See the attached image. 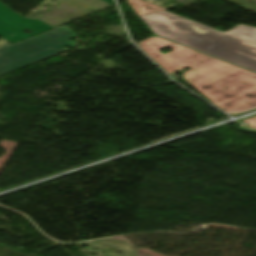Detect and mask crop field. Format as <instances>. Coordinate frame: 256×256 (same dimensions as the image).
I'll list each match as a JSON object with an SVG mask.
<instances>
[{
    "label": "crop field",
    "mask_w": 256,
    "mask_h": 256,
    "mask_svg": "<svg viewBox=\"0 0 256 256\" xmlns=\"http://www.w3.org/2000/svg\"><path fill=\"white\" fill-rule=\"evenodd\" d=\"M126 2L130 5V7L136 12L138 16L166 10L165 8L156 6L144 0H127Z\"/></svg>",
    "instance_id": "f4fd0767"
},
{
    "label": "crop field",
    "mask_w": 256,
    "mask_h": 256,
    "mask_svg": "<svg viewBox=\"0 0 256 256\" xmlns=\"http://www.w3.org/2000/svg\"><path fill=\"white\" fill-rule=\"evenodd\" d=\"M8 8L0 3V36L11 43L52 29L38 19L32 20L24 18ZM25 28H28L33 33L24 34L23 30ZM11 33H13L15 37H11Z\"/></svg>",
    "instance_id": "412701ff"
},
{
    "label": "crop field",
    "mask_w": 256,
    "mask_h": 256,
    "mask_svg": "<svg viewBox=\"0 0 256 256\" xmlns=\"http://www.w3.org/2000/svg\"><path fill=\"white\" fill-rule=\"evenodd\" d=\"M239 130H243V131H248V132L256 133V130L247 129V128H243V127H240Z\"/></svg>",
    "instance_id": "e52e79f7"
},
{
    "label": "crop field",
    "mask_w": 256,
    "mask_h": 256,
    "mask_svg": "<svg viewBox=\"0 0 256 256\" xmlns=\"http://www.w3.org/2000/svg\"><path fill=\"white\" fill-rule=\"evenodd\" d=\"M102 1L106 2L107 4H109L111 6L114 5L112 0H102Z\"/></svg>",
    "instance_id": "d8731c3e"
},
{
    "label": "crop field",
    "mask_w": 256,
    "mask_h": 256,
    "mask_svg": "<svg viewBox=\"0 0 256 256\" xmlns=\"http://www.w3.org/2000/svg\"><path fill=\"white\" fill-rule=\"evenodd\" d=\"M140 18L158 36L256 71V28L239 25L216 33L166 11Z\"/></svg>",
    "instance_id": "ac0d7876"
},
{
    "label": "crop field",
    "mask_w": 256,
    "mask_h": 256,
    "mask_svg": "<svg viewBox=\"0 0 256 256\" xmlns=\"http://www.w3.org/2000/svg\"><path fill=\"white\" fill-rule=\"evenodd\" d=\"M242 122L248 123V127L256 128V116L250 117Z\"/></svg>",
    "instance_id": "dd49c442"
},
{
    "label": "crop field",
    "mask_w": 256,
    "mask_h": 256,
    "mask_svg": "<svg viewBox=\"0 0 256 256\" xmlns=\"http://www.w3.org/2000/svg\"><path fill=\"white\" fill-rule=\"evenodd\" d=\"M137 45L170 75L191 68L182 78L223 111L256 106V74L158 37ZM166 47L173 51L161 53Z\"/></svg>",
    "instance_id": "8a807250"
},
{
    "label": "crop field",
    "mask_w": 256,
    "mask_h": 256,
    "mask_svg": "<svg viewBox=\"0 0 256 256\" xmlns=\"http://www.w3.org/2000/svg\"><path fill=\"white\" fill-rule=\"evenodd\" d=\"M73 37V31L63 25L15 45L0 46V76L62 53L65 47H77L69 41Z\"/></svg>",
    "instance_id": "34b2d1b8"
}]
</instances>
